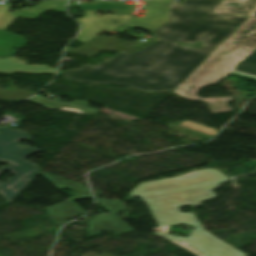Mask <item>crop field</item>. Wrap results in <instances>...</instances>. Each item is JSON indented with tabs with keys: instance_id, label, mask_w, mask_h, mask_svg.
Listing matches in <instances>:
<instances>
[{
	"instance_id": "crop-field-7",
	"label": "crop field",
	"mask_w": 256,
	"mask_h": 256,
	"mask_svg": "<svg viewBox=\"0 0 256 256\" xmlns=\"http://www.w3.org/2000/svg\"><path fill=\"white\" fill-rule=\"evenodd\" d=\"M87 220L89 221L87 229L89 237L100 234L101 230L111 231L116 234L134 230L113 214L89 218Z\"/></svg>"
},
{
	"instance_id": "crop-field-4",
	"label": "crop field",
	"mask_w": 256,
	"mask_h": 256,
	"mask_svg": "<svg viewBox=\"0 0 256 256\" xmlns=\"http://www.w3.org/2000/svg\"><path fill=\"white\" fill-rule=\"evenodd\" d=\"M221 0H185L181 6L172 0L171 20L153 32L169 42L203 41L200 52L210 55L248 17L211 13ZM196 50V49H194Z\"/></svg>"
},
{
	"instance_id": "crop-field-13",
	"label": "crop field",
	"mask_w": 256,
	"mask_h": 256,
	"mask_svg": "<svg viewBox=\"0 0 256 256\" xmlns=\"http://www.w3.org/2000/svg\"><path fill=\"white\" fill-rule=\"evenodd\" d=\"M233 73L256 79V50H254L243 62L239 63L235 67Z\"/></svg>"
},
{
	"instance_id": "crop-field-9",
	"label": "crop field",
	"mask_w": 256,
	"mask_h": 256,
	"mask_svg": "<svg viewBox=\"0 0 256 256\" xmlns=\"http://www.w3.org/2000/svg\"><path fill=\"white\" fill-rule=\"evenodd\" d=\"M118 37V36H116ZM114 37V38H116ZM114 38H106L105 36L96 39L92 43L86 44L81 51L78 50H71V49H66V52L69 53H86L88 55H95L98 49H109L111 47L115 48L117 51L121 52L125 48H127L125 45L131 43L119 39H114Z\"/></svg>"
},
{
	"instance_id": "crop-field-5",
	"label": "crop field",
	"mask_w": 256,
	"mask_h": 256,
	"mask_svg": "<svg viewBox=\"0 0 256 256\" xmlns=\"http://www.w3.org/2000/svg\"><path fill=\"white\" fill-rule=\"evenodd\" d=\"M31 138L30 134L17 129L0 128V162L10 163L0 169V175L3 172L15 174L13 178L8 179L7 184L0 182V194L7 202L15 198L39 171L42 170L25 159L27 155L40 150L17 144L19 140L28 141Z\"/></svg>"
},
{
	"instance_id": "crop-field-16",
	"label": "crop field",
	"mask_w": 256,
	"mask_h": 256,
	"mask_svg": "<svg viewBox=\"0 0 256 256\" xmlns=\"http://www.w3.org/2000/svg\"><path fill=\"white\" fill-rule=\"evenodd\" d=\"M180 126H183V127H186V128L192 129V130H196V131H199L202 133H206L211 136H213L215 133L213 128H206L203 125L196 124V123H193V122H190L187 120H185L183 123H181Z\"/></svg>"
},
{
	"instance_id": "crop-field-6",
	"label": "crop field",
	"mask_w": 256,
	"mask_h": 256,
	"mask_svg": "<svg viewBox=\"0 0 256 256\" xmlns=\"http://www.w3.org/2000/svg\"><path fill=\"white\" fill-rule=\"evenodd\" d=\"M145 1L143 7L146 13L143 18L130 16L127 24L136 25L149 32L160 26L168 19L169 0H142Z\"/></svg>"
},
{
	"instance_id": "crop-field-2",
	"label": "crop field",
	"mask_w": 256,
	"mask_h": 256,
	"mask_svg": "<svg viewBox=\"0 0 256 256\" xmlns=\"http://www.w3.org/2000/svg\"><path fill=\"white\" fill-rule=\"evenodd\" d=\"M207 56L159 40L131 55L122 52L97 66L86 64L62 75L90 83L125 84L138 90H170L181 84Z\"/></svg>"
},
{
	"instance_id": "crop-field-12",
	"label": "crop field",
	"mask_w": 256,
	"mask_h": 256,
	"mask_svg": "<svg viewBox=\"0 0 256 256\" xmlns=\"http://www.w3.org/2000/svg\"><path fill=\"white\" fill-rule=\"evenodd\" d=\"M44 177H46L51 183H53L57 188L66 187L79 193V196L70 197L71 199H81L91 197L87 189L78 183L68 181L59 177L51 176L46 173L40 172Z\"/></svg>"
},
{
	"instance_id": "crop-field-20",
	"label": "crop field",
	"mask_w": 256,
	"mask_h": 256,
	"mask_svg": "<svg viewBox=\"0 0 256 256\" xmlns=\"http://www.w3.org/2000/svg\"><path fill=\"white\" fill-rule=\"evenodd\" d=\"M242 60H240V59H236L233 63H235V64H238L239 62H241Z\"/></svg>"
},
{
	"instance_id": "crop-field-17",
	"label": "crop field",
	"mask_w": 256,
	"mask_h": 256,
	"mask_svg": "<svg viewBox=\"0 0 256 256\" xmlns=\"http://www.w3.org/2000/svg\"><path fill=\"white\" fill-rule=\"evenodd\" d=\"M157 40H159V39L155 38V39H153V40H151L149 42H146V43H144V44H142L140 46L128 47L126 50H124V52H126L128 54H131V53H133V52H135V51H137V50H139V49H141V48H143V47H145V46H147V45H149V44H151V43H153V42H155Z\"/></svg>"
},
{
	"instance_id": "crop-field-3",
	"label": "crop field",
	"mask_w": 256,
	"mask_h": 256,
	"mask_svg": "<svg viewBox=\"0 0 256 256\" xmlns=\"http://www.w3.org/2000/svg\"><path fill=\"white\" fill-rule=\"evenodd\" d=\"M213 12L250 16L215 52L216 57L209 56L182 83L190 86L182 99L202 100L211 113L230 112L228 102L232 97L200 99L197 93L204 86L216 84L232 72L236 65L231 64L236 58L244 60L256 49V0H222Z\"/></svg>"
},
{
	"instance_id": "crop-field-11",
	"label": "crop field",
	"mask_w": 256,
	"mask_h": 256,
	"mask_svg": "<svg viewBox=\"0 0 256 256\" xmlns=\"http://www.w3.org/2000/svg\"><path fill=\"white\" fill-rule=\"evenodd\" d=\"M30 100H32L34 102H40L44 106L54 108V109L65 107V108H70V109H77L86 114H95L96 112H98V110H96V109L86 107V105H85L86 102H84V101H74L72 103H65V102H59V101H55V100L45 99L41 96H34Z\"/></svg>"
},
{
	"instance_id": "crop-field-18",
	"label": "crop field",
	"mask_w": 256,
	"mask_h": 256,
	"mask_svg": "<svg viewBox=\"0 0 256 256\" xmlns=\"http://www.w3.org/2000/svg\"><path fill=\"white\" fill-rule=\"evenodd\" d=\"M126 26H128V27H132V28H134V27H135V26H131V25H126ZM126 26H123V27H121V28L117 29V31H116V32H117V33H121V34H123L124 30H125V31H129L127 35H130L131 37H133V36H135V37H137V36L142 37V36H144V35H145V34H143V33H140L139 35L132 34V33L130 32V30L125 29V28H126Z\"/></svg>"
},
{
	"instance_id": "crop-field-14",
	"label": "crop field",
	"mask_w": 256,
	"mask_h": 256,
	"mask_svg": "<svg viewBox=\"0 0 256 256\" xmlns=\"http://www.w3.org/2000/svg\"><path fill=\"white\" fill-rule=\"evenodd\" d=\"M11 87H13V86H11ZM33 94L34 93L23 91V90H20L17 88L12 91H5V90L0 89V98L7 99V100H20L23 98H27Z\"/></svg>"
},
{
	"instance_id": "crop-field-1",
	"label": "crop field",
	"mask_w": 256,
	"mask_h": 256,
	"mask_svg": "<svg viewBox=\"0 0 256 256\" xmlns=\"http://www.w3.org/2000/svg\"><path fill=\"white\" fill-rule=\"evenodd\" d=\"M221 172L203 169L172 179L149 181L137 185L129 194L143 200L150 208L159 228L155 233L191 251L196 256H247L205 232L193 212L182 214L179 205L199 204L216 196L218 183L229 181ZM191 224L196 229L187 238L166 234L168 225Z\"/></svg>"
},
{
	"instance_id": "crop-field-21",
	"label": "crop field",
	"mask_w": 256,
	"mask_h": 256,
	"mask_svg": "<svg viewBox=\"0 0 256 256\" xmlns=\"http://www.w3.org/2000/svg\"><path fill=\"white\" fill-rule=\"evenodd\" d=\"M218 53L213 52L211 55L216 56Z\"/></svg>"
},
{
	"instance_id": "crop-field-8",
	"label": "crop field",
	"mask_w": 256,
	"mask_h": 256,
	"mask_svg": "<svg viewBox=\"0 0 256 256\" xmlns=\"http://www.w3.org/2000/svg\"><path fill=\"white\" fill-rule=\"evenodd\" d=\"M44 209L60 226L65 223L64 219L67 217L87 213L71 199Z\"/></svg>"
},
{
	"instance_id": "crop-field-10",
	"label": "crop field",
	"mask_w": 256,
	"mask_h": 256,
	"mask_svg": "<svg viewBox=\"0 0 256 256\" xmlns=\"http://www.w3.org/2000/svg\"><path fill=\"white\" fill-rule=\"evenodd\" d=\"M24 61H20L14 57L0 59V72L12 73L14 71H22L27 73H55L54 68L45 65L27 66Z\"/></svg>"
},
{
	"instance_id": "crop-field-19",
	"label": "crop field",
	"mask_w": 256,
	"mask_h": 256,
	"mask_svg": "<svg viewBox=\"0 0 256 256\" xmlns=\"http://www.w3.org/2000/svg\"><path fill=\"white\" fill-rule=\"evenodd\" d=\"M187 88H188V87H186V86L180 85V86H178V87L173 91V93L182 96V95L184 94V92L187 90Z\"/></svg>"
},
{
	"instance_id": "crop-field-15",
	"label": "crop field",
	"mask_w": 256,
	"mask_h": 256,
	"mask_svg": "<svg viewBox=\"0 0 256 256\" xmlns=\"http://www.w3.org/2000/svg\"><path fill=\"white\" fill-rule=\"evenodd\" d=\"M96 202L110 213L117 214L118 211L125 210L124 205H118L115 201L96 199Z\"/></svg>"
}]
</instances>
